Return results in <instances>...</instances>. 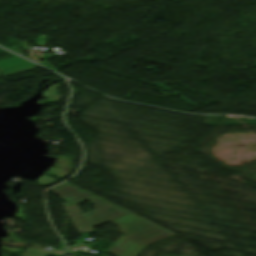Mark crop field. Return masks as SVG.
Here are the masks:
<instances>
[{
	"label": "crop field",
	"instance_id": "1",
	"mask_svg": "<svg viewBox=\"0 0 256 256\" xmlns=\"http://www.w3.org/2000/svg\"><path fill=\"white\" fill-rule=\"evenodd\" d=\"M51 191L69 201L63 206L78 232L93 231L92 228L109 221L119 225L121 232L128 237L120 238L108 250L119 256H136L145 246L173 235L66 183ZM86 200L93 203L97 210L83 215L77 205Z\"/></svg>",
	"mask_w": 256,
	"mask_h": 256
},
{
	"label": "crop field",
	"instance_id": "2",
	"mask_svg": "<svg viewBox=\"0 0 256 256\" xmlns=\"http://www.w3.org/2000/svg\"><path fill=\"white\" fill-rule=\"evenodd\" d=\"M46 254H62V251H39L27 248L25 252L19 256H45Z\"/></svg>",
	"mask_w": 256,
	"mask_h": 256
}]
</instances>
